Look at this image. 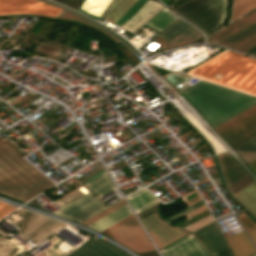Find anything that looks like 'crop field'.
I'll use <instances>...</instances> for the list:
<instances>
[{
  "instance_id": "obj_1",
  "label": "crop field",
  "mask_w": 256,
  "mask_h": 256,
  "mask_svg": "<svg viewBox=\"0 0 256 256\" xmlns=\"http://www.w3.org/2000/svg\"><path fill=\"white\" fill-rule=\"evenodd\" d=\"M180 93L208 120L213 128L256 104L255 97L204 81Z\"/></svg>"
},
{
  "instance_id": "obj_2",
  "label": "crop field",
  "mask_w": 256,
  "mask_h": 256,
  "mask_svg": "<svg viewBox=\"0 0 256 256\" xmlns=\"http://www.w3.org/2000/svg\"><path fill=\"white\" fill-rule=\"evenodd\" d=\"M187 74L256 95V60L228 50Z\"/></svg>"
},
{
  "instance_id": "obj_3",
  "label": "crop field",
  "mask_w": 256,
  "mask_h": 256,
  "mask_svg": "<svg viewBox=\"0 0 256 256\" xmlns=\"http://www.w3.org/2000/svg\"><path fill=\"white\" fill-rule=\"evenodd\" d=\"M53 185L6 144L0 147V193L26 202Z\"/></svg>"
},
{
  "instance_id": "obj_4",
  "label": "crop field",
  "mask_w": 256,
  "mask_h": 256,
  "mask_svg": "<svg viewBox=\"0 0 256 256\" xmlns=\"http://www.w3.org/2000/svg\"><path fill=\"white\" fill-rule=\"evenodd\" d=\"M225 9L226 0H192L172 12L187 20L206 36L223 23Z\"/></svg>"
},
{
  "instance_id": "obj_5",
  "label": "crop field",
  "mask_w": 256,
  "mask_h": 256,
  "mask_svg": "<svg viewBox=\"0 0 256 256\" xmlns=\"http://www.w3.org/2000/svg\"><path fill=\"white\" fill-rule=\"evenodd\" d=\"M234 149L256 136V105L214 128Z\"/></svg>"
},
{
  "instance_id": "obj_6",
  "label": "crop field",
  "mask_w": 256,
  "mask_h": 256,
  "mask_svg": "<svg viewBox=\"0 0 256 256\" xmlns=\"http://www.w3.org/2000/svg\"><path fill=\"white\" fill-rule=\"evenodd\" d=\"M107 229L114 240L135 252L154 249L133 214Z\"/></svg>"
},
{
  "instance_id": "obj_7",
  "label": "crop field",
  "mask_w": 256,
  "mask_h": 256,
  "mask_svg": "<svg viewBox=\"0 0 256 256\" xmlns=\"http://www.w3.org/2000/svg\"><path fill=\"white\" fill-rule=\"evenodd\" d=\"M105 208L107 207L99 202L96 197L90 193H87L63 208L57 210L54 212V214L70 220L73 219L80 223Z\"/></svg>"
},
{
  "instance_id": "obj_8",
  "label": "crop field",
  "mask_w": 256,
  "mask_h": 256,
  "mask_svg": "<svg viewBox=\"0 0 256 256\" xmlns=\"http://www.w3.org/2000/svg\"><path fill=\"white\" fill-rule=\"evenodd\" d=\"M232 25V24H231ZM256 31V11L236 22L232 26L218 32L209 42L230 46Z\"/></svg>"
},
{
  "instance_id": "obj_9",
  "label": "crop field",
  "mask_w": 256,
  "mask_h": 256,
  "mask_svg": "<svg viewBox=\"0 0 256 256\" xmlns=\"http://www.w3.org/2000/svg\"><path fill=\"white\" fill-rule=\"evenodd\" d=\"M151 238L155 242L158 249L176 241L177 239L187 235L188 233L174 229L166 225L154 213L149 217L141 220Z\"/></svg>"
},
{
  "instance_id": "obj_10",
  "label": "crop field",
  "mask_w": 256,
  "mask_h": 256,
  "mask_svg": "<svg viewBox=\"0 0 256 256\" xmlns=\"http://www.w3.org/2000/svg\"><path fill=\"white\" fill-rule=\"evenodd\" d=\"M62 11L37 0H0V14L36 13L55 17Z\"/></svg>"
},
{
  "instance_id": "obj_11",
  "label": "crop field",
  "mask_w": 256,
  "mask_h": 256,
  "mask_svg": "<svg viewBox=\"0 0 256 256\" xmlns=\"http://www.w3.org/2000/svg\"><path fill=\"white\" fill-rule=\"evenodd\" d=\"M158 37L164 39L171 48L202 39V35L198 31L178 19L159 34Z\"/></svg>"
},
{
  "instance_id": "obj_12",
  "label": "crop field",
  "mask_w": 256,
  "mask_h": 256,
  "mask_svg": "<svg viewBox=\"0 0 256 256\" xmlns=\"http://www.w3.org/2000/svg\"><path fill=\"white\" fill-rule=\"evenodd\" d=\"M67 256H129L116 246L94 236Z\"/></svg>"
},
{
  "instance_id": "obj_13",
  "label": "crop field",
  "mask_w": 256,
  "mask_h": 256,
  "mask_svg": "<svg viewBox=\"0 0 256 256\" xmlns=\"http://www.w3.org/2000/svg\"><path fill=\"white\" fill-rule=\"evenodd\" d=\"M160 252L162 256H210L191 234Z\"/></svg>"
},
{
  "instance_id": "obj_14",
  "label": "crop field",
  "mask_w": 256,
  "mask_h": 256,
  "mask_svg": "<svg viewBox=\"0 0 256 256\" xmlns=\"http://www.w3.org/2000/svg\"><path fill=\"white\" fill-rule=\"evenodd\" d=\"M192 234L203 242L204 246L212 256L228 248V245L215 222Z\"/></svg>"
},
{
  "instance_id": "obj_15",
  "label": "crop field",
  "mask_w": 256,
  "mask_h": 256,
  "mask_svg": "<svg viewBox=\"0 0 256 256\" xmlns=\"http://www.w3.org/2000/svg\"><path fill=\"white\" fill-rule=\"evenodd\" d=\"M163 6L148 0L135 14H133L121 27L135 32L149 20Z\"/></svg>"
},
{
  "instance_id": "obj_16",
  "label": "crop field",
  "mask_w": 256,
  "mask_h": 256,
  "mask_svg": "<svg viewBox=\"0 0 256 256\" xmlns=\"http://www.w3.org/2000/svg\"><path fill=\"white\" fill-rule=\"evenodd\" d=\"M228 187L248 175L229 155H218Z\"/></svg>"
},
{
  "instance_id": "obj_17",
  "label": "crop field",
  "mask_w": 256,
  "mask_h": 256,
  "mask_svg": "<svg viewBox=\"0 0 256 256\" xmlns=\"http://www.w3.org/2000/svg\"><path fill=\"white\" fill-rule=\"evenodd\" d=\"M226 240L234 256H251L256 252L244 231L226 237Z\"/></svg>"
},
{
  "instance_id": "obj_18",
  "label": "crop field",
  "mask_w": 256,
  "mask_h": 256,
  "mask_svg": "<svg viewBox=\"0 0 256 256\" xmlns=\"http://www.w3.org/2000/svg\"><path fill=\"white\" fill-rule=\"evenodd\" d=\"M130 214L132 213L128 206L125 204L120 208L114 210L113 212L109 213L108 215L104 216L103 218L99 219L98 221L92 223L88 227L100 232Z\"/></svg>"
},
{
  "instance_id": "obj_19",
  "label": "crop field",
  "mask_w": 256,
  "mask_h": 256,
  "mask_svg": "<svg viewBox=\"0 0 256 256\" xmlns=\"http://www.w3.org/2000/svg\"><path fill=\"white\" fill-rule=\"evenodd\" d=\"M106 172V171H105ZM99 198L116 189L107 172L84 184Z\"/></svg>"
},
{
  "instance_id": "obj_20",
  "label": "crop field",
  "mask_w": 256,
  "mask_h": 256,
  "mask_svg": "<svg viewBox=\"0 0 256 256\" xmlns=\"http://www.w3.org/2000/svg\"><path fill=\"white\" fill-rule=\"evenodd\" d=\"M127 198L136 213L157 203V199H155L145 189H142Z\"/></svg>"
},
{
  "instance_id": "obj_21",
  "label": "crop field",
  "mask_w": 256,
  "mask_h": 256,
  "mask_svg": "<svg viewBox=\"0 0 256 256\" xmlns=\"http://www.w3.org/2000/svg\"><path fill=\"white\" fill-rule=\"evenodd\" d=\"M137 0H112L106 9L105 19L115 22Z\"/></svg>"
},
{
  "instance_id": "obj_22",
  "label": "crop field",
  "mask_w": 256,
  "mask_h": 256,
  "mask_svg": "<svg viewBox=\"0 0 256 256\" xmlns=\"http://www.w3.org/2000/svg\"><path fill=\"white\" fill-rule=\"evenodd\" d=\"M235 197L241 201L251 212L256 215V182H252L240 191L236 192Z\"/></svg>"
},
{
  "instance_id": "obj_23",
  "label": "crop field",
  "mask_w": 256,
  "mask_h": 256,
  "mask_svg": "<svg viewBox=\"0 0 256 256\" xmlns=\"http://www.w3.org/2000/svg\"><path fill=\"white\" fill-rule=\"evenodd\" d=\"M176 19V17L168 13L166 9L163 8L150 21H148L146 25L161 32Z\"/></svg>"
},
{
  "instance_id": "obj_24",
  "label": "crop field",
  "mask_w": 256,
  "mask_h": 256,
  "mask_svg": "<svg viewBox=\"0 0 256 256\" xmlns=\"http://www.w3.org/2000/svg\"><path fill=\"white\" fill-rule=\"evenodd\" d=\"M256 7V0H234L232 21Z\"/></svg>"
},
{
  "instance_id": "obj_25",
  "label": "crop field",
  "mask_w": 256,
  "mask_h": 256,
  "mask_svg": "<svg viewBox=\"0 0 256 256\" xmlns=\"http://www.w3.org/2000/svg\"><path fill=\"white\" fill-rule=\"evenodd\" d=\"M147 0H138L127 12H125L115 24L121 26L134 12H136Z\"/></svg>"
},
{
  "instance_id": "obj_26",
  "label": "crop field",
  "mask_w": 256,
  "mask_h": 256,
  "mask_svg": "<svg viewBox=\"0 0 256 256\" xmlns=\"http://www.w3.org/2000/svg\"><path fill=\"white\" fill-rule=\"evenodd\" d=\"M255 43H256V33L254 35L248 37L247 39L243 40L242 42L236 44L232 48L243 52L246 49H248L249 47H251L252 45H254Z\"/></svg>"
},
{
  "instance_id": "obj_27",
  "label": "crop field",
  "mask_w": 256,
  "mask_h": 256,
  "mask_svg": "<svg viewBox=\"0 0 256 256\" xmlns=\"http://www.w3.org/2000/svg\"><path fill=\"white\" fill-rule=\"evenodd\" d=\"M57 17H59V18H66V19H72V20H77V21H80V22H83V23L90 24V25H92L93 27H95V28L101 30L100 28H98V27L94 26L93 24H91V23H89V22H87V21H85V20H83V19L77 17L76 15H74V14L68 12V11L62 12V13H61L60 15H58ZM90 25H89V26H90ZM101 31H103V30H101ZM103 32H104V31H103ZM104 33H106V32H104ZM106 34H107V33H106ZM107 35H108L109 37H111L117 44L120 43V42H118L116 39H114L112 36H110L109 34H107Z\"/></svg>"
},
{
  "instance_id": "obj_28",
  "label": "crop field",
  "mask_w": 256,
  "mask_h": 256,
  "mask_svg": "<svg viewBox=\"0 0 256 256\" xmlns=\"http://www.w3.org/2000/svg\"><path fill=\"white\" fill-rule=\"evenodd\" d=\"M241 216H237L244 228L247 230L256 226V223L250 219L243 211L239 212Z\"/></svg>"
},
{
  "instance_id": "obj_29",
  "label": "crop field",
  "mask_w": 256,
  "mask_h": 256,
  "mask_svg": "<svg viewBox=\"0 0 256 256\" xmlns=\"http://www.w3.org/2000/svg\"><path fill=\"white\" fill-rule=\"evenodd\" d=\"M252 181H254V180L248 175L245 178H243L242 180H240L239 182H237L234 185H232L231 187H229V189L233 194L236 191L243 188L244 186H246L247 184L251 183Z\"/></svg>"
},
{
  "instance_id": "obj_30",
  "label": "crop field",
  "mask_w": 256,
  "mask_h": 256,
  "mask_svg": "<svg viewBox=\"0 0 256 256\" xmlns=\"http://www.w3.org/2000/svg\"><path fill=\"white\" fill-rule=\"evenodd\" d=\"M234 150L256 151V137Z\"/></svg>"
},
{
  "instance_id": "obj_31",
  "label": "crop field",
  "mask_w": 256,
  "mask_h": 256,
  "mask_svg": "<svg viewBox=\"0 0 256 256\" xmlns=\"http://www.w3.org/2000/svg\"><path fill=\"white\" fill-rule=\"evenodd\" d=\"M15 208L6 205V203L0 202V219L12 212Z\"/></svg>"
},
{
  "instance_id": "obj_32",
  "label": "crop field",
  "mask_w": 256,
  "mask_h": 256,
  "mask_svg": "<svg viewBox=\"0 0 256 256\" xmlns=\"http://www.w3.org/2000/svg\"><path fill=\"white\" fill-rule=\"evenodd\" d=\"M156 207H157V204H155V205H153V206H151V207H149V208H147V209L137 213L139 218H140V220L145 218V217H147L148 215L156 212Z\"/></svg>"
},
{
  "instance_id": "obj_33",
  "label": "crop field",
  "mask_w": 256,
  "mask_h": 256,
  "mask_svg": "<svg viewBox=\"0 0 256 256\" xmlns=\"http://www.w3.org/2000/svg\"><path fill=\"white\" fill-rule=\"evenodd\" d=\"M215 256H233V254H232L230 248H228Z\"/></svg>"
},
{
  "instance_id": "obj_34",
  "label": "crop field",
  "mask_w": 256,
  "mask_h": 256,
  "mask_svg": "<svg viewBox=\"0 0 256 256\" xmlns=\"http://www.w3.org/2000/svg\"><path fill=\"white\" fill-rule=\"evenodd\" d=\"M248 234L250 235V237L252 238V240L254 241V243L256 244V228L248 231Z\"/></svg>"
},
{
  "instance_id": "obj_35",
  "label": "crop field",
  "mask_w": 256,
  "mask_h": 256,
  "mask_svg": "<svg viewBox=\"0 0 256 256\" xmlns=\"http://www.w3.org/2000/svg\"><path fill=\"white\" fill-rule=\"evenodd\" d=\"M256 52V45H254L252 48L247 50L245 53H248L250 55L254 54Z\"/></svg>"
},
{
  "instance_id": "obj_36",
  "label": "crop field",
  "mask_w": 256,
  "mask_h": 256,
  "mask_svg": "<svg viewBox=\"0 0 256 256\" xmlns=\"http://www.w3.org/2000/svg\"><path fill=\"white\" fill-rule=\"evenodd\" d=\"M250 167H251V169L256 173V160L255 161H253L252 163H250V164H248Z\"/></svg>"
},
{
  "instance_id": "obj_37",
  "label": "crop field",
  "mask_w": 256,
  "mask_h": 256,
  "mask_svg": "<svg viewBox=\"0 0 256 256\" xmlns=\"http://www.w3.org/2000/svg\"><path fill=\"white\" fill-rule=\"evenodd\" d=\"M54 1H57V2H60V3L64 4V3H66V2H68L70 0H54Z\"/></svg>"
},
{
  "instance_id": "obj_38",
  "label": "crop field",
  "mask_w": 256,
  "mask_h": 256,
  "mask_svg": "<svg viewBox=\"0 0 256 256\" xmlns=\"http://www.w3.org/2000/svg\"><path fill=\"white\" fill-rule=\"evenodd\" d=\"M256 256V255H255Z\"/></svg>"
}]
</instances>
